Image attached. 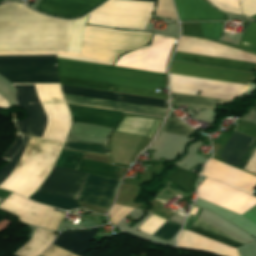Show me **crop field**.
I'll return each mask as SVG.
<instances>
[{"label":"crop field","instance_id":"8a807250","mask_svg":"<svg viewBox=\"0 0 256 256\" xmlns=\"http://www.w3.org/2000/svg\"><path fill=\"white\" fill-rule=\"evenodd\" d=\"M170 73L247 85H250L253 80V75L250 73L222 70L177 62H171ZM173 74H170L171 91L175 92L232 100L241 93L247 91L250 87L247 85ZM175 92H171V106L189 105V107L214 109L216 103L228 102L227 100L194 96Z\"/></svg>","mask_w":256,"mask_h":256},{"label":"crop field","instance_id":"ac0d7876","mask_svg":"<svg viewBox=\"0 0 256 256\" xmlns=\"http://www.w3.org/2000/svg\"><path fill=\"white\" fill-rule=\"evenodd\" d=\"M73 21L48 18L21 4L0 6V50L67 51Z\"/></svg>","mask_w":256,"mask_h":256},{"label":"crop field","instance_id":"34b2d1b8","mask_svg":"<svg viewBox=\"0 0 256 256\" xmlns=\"http://www.w3.org/2000/svg\"><path fill=\"white\" fill-rule=\"evenodd\" d=\"M60 84L166 99V74L57 58ZM112 91V90H110Z\"/></svg>","mask_w":256,"mask_h":256},{"label":"crop field","instance_id":"412701ff","mask_svg":"<svg viewBox=\"0 0 256 256\" xmlns=\"http://www.w3.org/2000/svg\"><path fill=\"white\" fill-rule=\"evenodd\" d=\"M32 140L17 134L15 143L1 157L9 162L0 169V178L17 163ZM62 145L34 138L18 163L0 179V187L28 198L48 176Z\"/></svg>","mask_w":256,"mask_h":256},{"label":"crop field","instance_id":"f4fd0767","mask_svg":"<svg viewBox=\"0 0 256 256\" xmlns=\"http://www.w3.org/2000/svg\"><path fill=\"white\" fill-rule=\"evenodd\" d=\"M18 105L25 108L28 118L16 121L18 133L64 143L71 124V115L59 84L15 85Z\"/></svg>","mask_w":256,"mask_h":256},{"label":"crop field","instance_id":"dd49c442","mask_svg":"<svg viewBox=\"0 0 256 256\" xmlns=\"http://www.w3.org/2000/svg\"><path fill=\"white\" fill-rule=\"evenodd\" d=\"M150 35L86 26L81 54L57 51V57L112 65L120 54L147 43Z\"/></svg>","mask_w":256,"mask_h":256},{"label":"crop field","instance_id":"e52e79f7","mask_svg":"<svg viewBox=\"0 0 256 256\" xmlns=\"http://www.w3.org/2000/svg\"><path fill=\"white\" fill-rule=\"evenodd\" d=\"M138 1L154 2V0ZM138 1L109 0L89 14L87 23L144 30L151 17L154 3Z\"/></svg>","mask_w":256,"mask_h":256},{"label":"crop field","instance_id":"d8731c3e","mask_svg":"<svg viewBox=\"0 0 256 256\" xmlns=\"http://www.w3.org/2000/svg\"><path fill=\"white\" fill-rule=\"evenodd\" d=\"M12 58H56V56H0ZM0 75L11 83H59L56 59L0 60Z\"/></svg>","mask_w":256,"mask_h":256},{"label":"crop field","instance_id":"5a996713","mask_svg":"<svg viewBox=\"0 0 256 256\" xmlns=\"http://www.w3.org/2000/svg\"><path fill=\"white\" fill-rule=\"evenodd\" d=\"M85 175L84 173L54 167L52 173L38 191L76 199ZM39 192H36L30 199L62 210L78 208L74 199Z\"/></svg>","mask_w":256,"mask_h":256},{"label":"crop field","instance_id":"3316defc","mask_svg":"<svg viewBox=\"0 0 256 256\" xmlns=\"http://www.w3.org/2000/svg\"><path fill=\"white\" fill-rule=\"evenodd\" d=\"M0 209L18 217V220L54 232L64 217L53 208L30 202L14 193L0 204Z\"/></svg>","mask_w":256,"mask_h":256},{"label":"crop field","instance_id":"28ad6ade","mask_svg":"<svg viewBox=\"0 0 256 256\" xmlns=\"http://www.w3.org/2000/svg\"><path fill=\"white\" fill-rule=\"evenodd\" d=\"M72 113V122H85L113 128L121 117V113L105 110L84 108L68 105ZM64 148L107 154V148L103 145L67 141Z\"/></svg>","mask_w":256,"mask_h":256},{"label":"crop field","instance_id":"d1516ede","mask_svg":"<svg viewBox=\"0 0 256 256\" xmlns=\"http://www.w3.org/2000/svg\"><path fill=\"white\" fill-rule=\"evenodd\" d=\"M83 11H91L100 6L106 0H50ZM47 0H41L36 6V9L63 19H77L83 17L87 12L53 3Z\"/></svg>","mask_w":256,"mask_h":256},{"label":"crop field","instance_id":"22f410ed","mask_svg":"<svg viewBox=\"0 0 256 256\" xmlns=\"http://www.w3.org/2000/svg\"><path fill=\"white\" fill-rule=\"evenodd\" d=\"M117 182L88 174L78 200L109 207Z\"/></svg>","mask_w":256,"mask_h":256},{"label":"crop field","instance_id":"cbeb9de0","mask_svg":"<svg viewBox=\"0 0 256 256\" xmlns=\"http://www.w3.org/2000/svg\"><path fill=\"white\" fill-rule=\"evenodd\" d=\"M180 21H223L222 13L204 0H174Z\"/></svg>","mask_w":256,"mask_h":256},{"label":"crop field","instance_id":"5142ce71","mask_svg":"<svg viewBox=\"0 0 256 256\" xmlns=\"http://www.w3.org/2000/svg\"><path fill=\"white\" fill-rule=\"evenodd\" d=\"M63 96L66 103L95 107V108L125 111V112H132V113H139V114H146V115H153V116H160V117H164L165 111H166L163 109L130 105V104H124V103H116V102L78 97V96H72V95H66V94H63Z\"/></svg>","mask_w":256,"mask_h":256},{"label":"crop field","instance_id":"d9b57169","mask_svg":"<svg viewBox=\"0 0 256 256\" xmlns=\"http://www.w3.org/2000/svg\"><path fill=\"white\" fill-rule=\"evenodd\" d=\"M172 60L252 72L256 64L176 51Z\"/></svg>","mask_w":256,"mask_h":256},{"label":"crop field","instance_id":"733c2abd","mask_svg":"<svg viewBox=\"0 0 256 256\" xmlns=\"http://www.w3.org/2000/svg\"><path fill=\"white\" fill-rule=\"evenodd\" d=\"M97 229L98 227L83 231H64L53 244L78 256H84Z\"/></svg>","mask_w":256,"mask_h":256},{"label":"crop field","instance_id":"4a817a6b","mask_svg":"<svg viewBox=\"0 0 256 256\" xmlns=\"http://www.w3.org/2000/svg\"><path fill=\"white\" fill-rule=\"evenodd\" d=\"M161 121L136 117H124L117 132L152 138Z\"/></svg>","mask_w":256,"mask_h":256},{"label":"crop field","instance_id":"bc2a9ffb","mask_svg":"<svg viewBox=\"0 0 256 256\" xmlns=\"http://www.w3.org/2000/svg\"><path fill=\"white\" fill-rule=\"evenodd\" d=\"M251 141L250 137L233 133L219 156L225 163L237 167Z\"/></svg>","mask_w":256,"mask_h":256},{"label":"crop field","instance_id":"214f88e0","mask_svg":"<svg viewBox=\"0 0 256 256\" xmlns=\"http://www.w3.org/2000/svg\"><path fill=\"white\" fill-rule=\"evenodd\" d=\"M256 20V15L251 17ZM203 36L219 39L222 29L218 22L200 23ZM240 46L256 51V22L249 23L248 28L242 35Z\"/></svg>","mask_w":256,"mask_h":256},{"label":"crop field","instance_id":"92a150f3","mask_svg":"<svg viewBox=\"0 0 256 256\" xmlns=\"http://www.w3.org/2000/svg\"><path fill=\"white\" fill-rule=\"evenodd\" d=\"M54 236V232L37 228L33 237L15 255L38 256L48 247Z\"/></svg>","mask_w":256,"mask_h":256},{"label":"crop field","instance_id":"dafd665d","mask_svg":"<svg viewBox=\"0 0 256 256\" xmlns=\"http://www.w3.org/2000/svg\"><path fill=\"white\" fill-rule=\"evenodd\" d=\"M194 224L216 234L217 236L241 247V246H244L242 243L238 242L237 240H235L234 238L230 237L229 235H227L226 233H224L223 231L219 230L218 228H216L215 226H213L212 224L208 223L207 221H205L204 219L200 218L199 216H196L195 219L193 220ZM190 225V227L188 228V231H191V232H194L196 234H199V235H202V236H205V237H208L210 239H213V240H216V241H219V242H222L224 244H227V245H230V246H233L235 248H238L237 246L211 234L210 232L192 224Z\"/></svg>","mask_w":256,"mask_h":256},{"label":"crop field","instance_id":"00972430","mask_svg":"<svg viewBox=\"0 0 256 256\" xmlns=\"http://www.w3.org/2000/svg\"><path fill=\"white\" fill-rule=\"evenodd\" d=\"M77 170L117 179L119 168L83 159Z\"/></svg>","mask_w":256,"mask_h":256},{"label":"crop field","instance_id":"a9b5d70f","mask_svg":"<svg viewBox=\"0 0 256 256\" xmlns=\"http://www.w3.org/2000/svg\"><path fill=\"white\" fill-rule=\"evenodd\" d=\"M62 93L72 94V95H79L85 97H92L98 99H105L111 101H118V96L116 93L111 92H104V91H97L79 87H71V86H63L61 85Z\"/></svg>","mask_w":256,"mask_h":256},{"label":"crop field","instance_id":"4177f3b9","mask_svg":"<svg viewBox=\"0 0 256 256\" xmlns=\"http://www.w3.org/2000/svg\"><path fill=\"white\" fill-rule=\"evenodd\" d=\"M86 17L74 20L68 51L80 53Z\"/></svg>","mask_w":256,"mask_h":256},{"label":"crop field","instance_id":"730fd06b","mask_svg":"<svg viewBox=\"0 0 256 256\" xmlns=\"http://www.w3.org/2000/svg\"><path fill=\"white\" fill-rule=\"evenodd\" d=\"M83 156L82 153L62 150L55 166L76 170Z\"/></svg>","mask_w":256,"mask_h":256},{"label":"crop field","instance_id":"eef30255","mask_svg":"<svg viewBox=\"0 0 256 256\" xmlns=\"http://www.w3.org/2000/svg\"><path fill=\"white\" fill-rule=\"evenodd\" d=\"M183 123L174 118H167L161 131L188 136L194 129Z\"/></svg>","mask_w":256,"mask_h":256},{"label":"crop field","instance_id":"ae1a2a85","mask_svg":"<svg viewBox=\"0 0 256 256\" xmlns=\"http://www.w3.org/2000/svg\"><path fill=\"white\" fill-rule=\"evenodd\" d=\"M118 95H119L120 101L124 103H131V104L166 109V102L162 100L141 98V97H135V96L121 95V94H118Z\"/></svg>","mask_w":256,"mask_h":256},{"label":"crop field","instance_id":"d3111659","mask_svg":"<svg viewBox=\"0 0 256 256\" xmlns=\"http://www.w3.org/2000/svg\"><path fill=\"white\" fill-rule=\"evenodd\" d=\"M181 228V226L167 221L160 229H158L153 236L169 241L175 233Z\"/></svg>","mask_w":256,"mask_h":256},{"label":"crop field","instance_id":"750c4746","mask_svg":"<svg viewBox=\"0 0 256 256\" xmlns=\"http://www.w3.org/2000/svg\"><path fill=\"white\" fill-rule=\"evenodd\" d=\"M166 220L152 214L139 228L138 230L143 231L152 235L159 227H161Z\"/></svg>","mask_w":256,"mask_h":256},{"label":"crop field","instance_id":"bd1437ed","mask_svg":"<svg viewBox=\"0 0 256 256\" xmlns=\"http://www.w3.org/2000/svg\"><path fill=\"white\" fill-rule=\"evenodd\" d=\"M155 13H156V15H159V16L177 19L171 0H159V3H158Z\"/></svg>","mask_w":256,"mask_h":256},{"label":"crop field","instance_id":"1d83c4d3","mask_svg":"<svg viewBox=\"0 0 256 256\" xmlns=\"http://www.w3.org/2000/svg\"><path fill=\"white\" fill-rule=\"evenodd\" d=\"M132 210H133L132 208L114 204L110 211V214H109L111 223L114 225L117 224L121 219H123Z\"/></svg>","mask_w":256,"mask_h":256},{"label":"crop field","instance_id":"120bbe31","mask_svg":"<svg viewBox=\"0 0 256 256\" xmlns=\"http://www.w3.org/2000/svg\"><path fill=\"white\" fill-rule=\"evenodd\" d=\"M241 13L250 17L256 13V0H240Z\"/></svg>","mask_w":256,"mask_h":256},{"label":"crop field","instance_id":"d32e631a","mask_svg":"<svg viewBox=\"0 0 256 256\" xmlns=\"http://www.w3.org/2000/svg\"><path fill=\"white\" fill-rule=\"evenodd\" d=\"M40 256H76V255L51 244L50 248Z\"/></svg>","mask_w":256,"mask_h":256},{"label":"crop field","instance_id":"5866460e","mask_svg":"<svg viewBox=\"0 0 256 256\" xmlns=\"http://www.w3.org/2000/svg\"><path fill=\"white\" fill-rule=\"evenodd\" d=\"M237 130L246 132V133L256 137V126H253V125H250V124L240 121V123L237 127Z\"/></svg>","mask_w":256,"mask_h":256},{"label":"crop field","instance_id":"028f5c9d","mask_svg":"<svg viewBox=\"0 0 256 256\" xmlns=\"http://www.w3.org/2000/svg\"><path fill=\"white\" fill-rule=\"evenodd\" d=\"M212 4H214L215 6H217L219 9L221 10H225V11H229V12H232V13H235V14H239L240 15V10L239 9H236V8H233L231 6H228V5H225V4H222V3H219L217 1H214V0H209ZM228 12V13H229Z\"/></svg>","mask_w":256,"mask_h":256},{"label":"crop field","instance_id":"e1f06a70","mask_svg":"<svg viewBox=\"0 0 256 256\" xmlns=\"http://www.w3.org/2000/svg\"><path fill=\"white\" fill-rule=\"evenodd\" d=\"M255 150H256V140L253 146L251 147V149L249 150V152L247 153V155L245 156V158L243 159V161L241 162V164L239 165V168L244 170L245 166L247 165L248 161L250 160Z\"/></svg>","mask_w":256,"mask_h":256},{"label":"crop field","instance_id":"0bd39190","mask_svg":"<svg viewBox=\"0 0 256 256\" xmlns=\"http://www.w3.org/2000/svg\"><path fill=\"white\" fill-rule=\"evenodd\" d=\"M217 1H220V2H223L225 4H228V5L234 6L236 8H239L238 2L234 1V0H217Z\"/></svg>","mask_w":256,"mask_h":256},{"label":"crop field","instance_id":"b80d0937","mask_svg":"<svg viewBox=\"0 0 256 256\" xmlns=\"http://www.w3.org/2000/svg\"><path fill=\"white\" fill-rule=\"evenodd\" d=\"M9 194H10V192L0 189V198L4 199Z\"/></svg>","mask_w":256,"mask_h":256}]
</instances>
